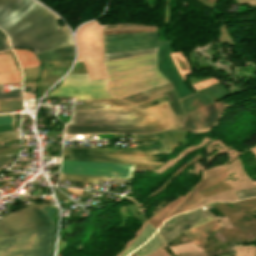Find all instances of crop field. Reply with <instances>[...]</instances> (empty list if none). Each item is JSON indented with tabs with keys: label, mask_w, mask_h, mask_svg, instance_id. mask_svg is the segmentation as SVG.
<instances>
[{
	"label": "crop field",
	"mask_w": 256,
	"mask_h": 256,
	"mask_svg": "<svg viewBox=\"0 0 256 256\" xmlns=\"http://www.w3.org/2000/svg\"><path fill=\"white\" fill-rule=\"evenodd\" d=\"M155 231L156 230L148 223L139 237L120 256H126L131 251L141 246L152 236Z\"/></svg>",
	"instance_id": "bc2a9ffb"
},
{
	"label": "crop field",
	"mask_w": 256,
	"mask_h": 256,
	"mask_svg": "<svg viewBox=\"0 0 256 256\" xmlns=\"http://www.w3.org/2000/svg\"><path fill=\"white\" fill-rule=\"evenodd\" d=\"M12 159H13V158H9V159H0V167L6 165V163H7L8 161L12 160Z\"/></svg>",
	"instance_id": "d3111659"
},
{
	"label": "crop field",
	"mask_w": 256,
	"mask_h": 256,
	"mask_svg": "<svg viewBox=\"0 0 256 256\" xmlns=\"http://www.w3.org/2000/svg\"><path fill=\"white\" fill-rule=\"evenodd\" d=\"M157 48L105 54V60H112L156 52Z\"/></svg>",
	"instance_id": "dafd665d"
},
{
	"label": "crop field",
	"mask_w": 256,
	"mask_h": 256,
	"mask_svg": "<svg viewBox=\"0 0 256 256\" xmlns=\"http://www.w3.org/2000/svg\"><path fill=\"white\" fill-rule=\"evenodd\" d=\"M3 115H10V114H0V116H3Z\"/></svg>",
	"instance_id": "1d83c4d3"
},
{
	"label": "crop field",
	"mask_w": 256,
	"mask_h": 256,
	"mask_svg": "<svg viewBox=\"0 0 256 256\" xmlns=\"http://www.w3.org/2000/svg\"><path fill=\"white\" fill-rule=\"evenodd\" d=\"M160 122L152 115L116 98L86 101L74 106L72 121L67 125Z\"/></svg>",
	"instance_id": "f4fd0767"
},
{
	"label": "crop field",
	"mask_w": 256,
	"mask_h": 256,
	"mask_svg": "<svg viewBox=\"0 0 256 256\" xmlns=\"http://www.w3.org/2000/svg\"><path fill=\"white\" fill-rule=\"evenodd\" d=\"M168 129L162 123L66 126L65 134L120 132L151 133Z\"/></svg>",
	"instance_id": "28ad6ade"
},
{
	"label": "crop field",
	"mask_w": 256,
	"mask_h": 256,
	"mask_svg": "<svg viewBox=\"0 0 256 256\" xmlns=\"http://www.w3.org/2000/svg\"><path fill=\"white\" fill-rule=\"evenodd\" d=\"M39 72V66L22 70L23 77L38 76Z\"/></svg>",
	"instance_id": "4177f3b9"
},
{
	"label": "crop field",
	"mask_w": 256,
	"mask_h": 256,
	"mask_svg": "<svg viewBox=\"0 0 256 256\" xmlns=\"http://www.w3.org/2000/svg\"><path fill=\"white\" fill-rule=\"evenodd\" d=\"M21 65V69L39 65V60L35 53L27 50L13 49Z\"/></svg>",
	"instance_id": "733c2abd"
},
{
	"label": "crop field",
	"mask_w": 256,
	"mask_h": 256,
	"mask_svg": "<svg viewBox=\"0 0 256 256\" xmlns=\"http://www.w3.org/2000/svg\"><path fill=\"white\" fill-rule=\"evenodd\" d=\"M220 226H222V225L219 224L214 219H212L200 226H197V227L185 232V234L188 237H190L195 244L198 245L199 242L206 240L205 238L207 235H209L211 232H213L215 229L219 228Z\"/></svg>",
	"instance_id": "5142ce71"
},
{
	"label": "crop field",
	"mask_w": 256,
	"mask_h": 256,
	"mask_svg": "<svg viewBox=\"0 0 256 256\" xmlns=\"http://www.w3.org/2000/svg\"><path fill=\"white\" fill-rule=\"evenodd\" d=\"M53 231L54 225L0 240V256H50Z\"/></svg>",
	"instance_id": "dd49c442"
},
{
	"label": "crop field",
	"mask_w": 256,
	"mask_h": 256,
	"mask_svg": "<svg viewBox=\"0 0 256 256\" xmlns=\"http://www.w3.org/2000/svg\"><path fill=\"white\" fill-rule=\"evenodd\" d=\"M106 80L90 81L87 73L68 74L62 84L47 96H76V100L113 97L106 90Z\"/></svg>",
	"instance_id": "d8731c3e"
},
{
	"label": "crop field",
	"mask_w": 256,
	"mask_h": 256,
	"mask_svg": "<svg viewBox=\"0 0 256 256\" xmlns=\"http://www.w3.org/2000/svg\"><path fill=\"white\" fill-rule=\"evenodd\" d=\"M17 138H19V137H18L16 130L0 133V142L6 141V140H11V139H17Z\"/></svg>",
	"instance_id": "00972430"
},
{
	"label": "crop field",
	"mask_w": 256,
	"mask_h": 256,
	"mask_svg": "<svg viewBox=\"0 0 256 256\" xmlns=\"http://www.w3.org/2000/svg\"><path fill=\"white\" fill-rule=\"evenodd\" d=\"M229 175L223 168L216 171L215 173L207 176L204 178L202 181H200L187 195L186 199L180 203L169 215L168 218L174 216L175 214H179L181 212H184L187 210L189 207H191L193 204L196 202L200 201L201 199L205 198L198 190L209 186L213 183H216L222 179L228 178ZM167 218V219H168Z\"/></svg>",
	"instance_id": "22f410ed"
},
{
	"label": "crop field",
	"mask_w": 256,
	"mask_h": 256,
	"mask_svg": "<svg viewBox=\"0 0 256 256\" xmlns=\"http://www.w3.org/2000/svg\"><path fill=\"white\" fill-rule=\"evenodd\" d=\"M53 224L43 207L20 209L0 219V239Z\"/></svg>",
	"instance_id": "e52e79f7"
},
{
	"label": "crop field",
	"mask_w": 256,
	"mask_h": 256,
	"mask_svg": "<svg viewBox=\"0 0 256 256\" xmlns=\"http://www.w3.org/2000/svg\"><path fill=\"white\" fill-rule=\"evenodd\" d=\"M21 97L20 91L3 92L2 84H0V99Z\"/></svg>",
	"instance_id": "a9b5d70f"
},
{
	"label": "crop field",
	"mask_w": 256,
	"mask_h": 256,
	"mask_svg": "<svg viewBox=\"0 0 256 256\" xmlns=\"http://www.w3.org/2000/svg\"><path fill=\"white\" fill-rule=\"evenodd\" d=\"M3 169H0V171H2Z\"/></svg>",
	"instance_id": "120bbe31"
},
{
	"label": "crop field",
	"mask_w": 256,
	"mask_h": 256,
	"mask_svg": "<svg viewBox=\"0 0 256 256\" xmlns=\"http://www.w3.org/2000/svg\"><path fill=\"white\" fill-rule=\"evenodd\" d=\"M181 197H183V196H181ZM181 197H179L176 201L167 205L155 217L150 218L147 221L150 222L153 226H155L158 229V227L160 226V224L162 223L164 218L170 213V211L176 206V204L182 200Z\"/></svg>",
	"instance_id": "92a150f3"
},
{
	"label": "crop field",
	"mask_w": 256,
	"mask_h": 256,
	"mask_svg": "<svg viewBox=\"0 0 256 256\" xmlns=\"http://www.w3.org/2000/svg\"><path fill=\"white\" fill-rule=\"evenodd\" d=\"M10 123H11V116L0 117V125L10 124Z\"/></svg>",
	"instance_id": "eef30255"
},
{
	"label": "crop field",
	"mask_w": 256,
	"mask_h": 256,
	"mask_svg": "<svg viewBox=\"0 0 256 256\" xmlns=\"http://www.w3.org/2000/svg\"><path fill=\"white\" fill-rule=\"evenodd\" d=\"M133 166L62 160L61 172L128 178Z\"/></svg>",
	"instance_id": "5a996713"
},
{
	"label": "crop field",
	"mask_w": 256,
	"mask_h": 256,
	"mask_svg": "<svg viewBox=\"0 0 256 256\" xmlns=\"http://www.w3.org/2000/svg\"><path fill=\"white\" fill-rule=\"evenodd\" d=\"M20 81L19 71H15L8 55L0 56V83Z\"/></svg>",
	"instance_id": "d9b57169"
},
{
	"label": "crop field",
	"mask_w": 256,
	"mask_h": 256,
	"mask_svg": "<svg viewBox=\"0 0 256 256\" xmlns=\"http://www.w3.org/2000/svg\"><path fill=\"white\" fill-rule=\"evenodd\" d=\"M222 101L215 102L186 114L184 127L178 130L206 131L224 110Z\"/></svg>",
	"instance_id": "d1516ede"
},
{
	"label": "crop field",
	"mask_w": 256,
	"mask_h": 256,
	"mask_svg": "<svg viewBox=\"0 0 256 256\" xmlns=\"http://www.w3.org/2000/svg\"><path fill=\"white\" fill-rule=\"evenodd\" d=\"M1 39H4V38H3V35H2V33H0V40H1Z\"/></svg>",
	"instance_id": "bd1437ed"
},
{
	"label": "crop field",
	"mask_w": 256,
	"mask_h": 256,
	"mask_svg": "<svg viewBox=\"0 0 256 256\" xmlns=\"http://www.w3.org/2000/svg\"><path fill=\"white\" fill-rule=\"evenodd\" d=\"M177 118L179 119V121H180V123H181V125H182V123H183V121H184V115L177 116Z\"/></svg>",
	"instance_id": "750c4746"
},
{
	"label": "crop field",
	"mask_w": 256,
	"mask_h": 256,
	"mask_svg": "<svg viewBox=\"0 0 256 256\" xmlns=\"http://www.w3.org/2000/svg\"><path fill=\"white\" fill-rule=\"evenodd\" d=\"M6 50H9V49L5 43V40L0 41V51H6Z\"/></svg>",
	"instance_id": "ae1a2a85"
},
{
	"label": "crop field",
	"mask_w": 256,
	"mask_h": 256,
	"mask_svg": "<svg viewBox=\"0 0 256 256\" xmlns=\"http://www.w3.org/2000/svg\"><path fill=\"white\" fill-rule=\"evenodd\" d=\"M163 244L165 243L157 231L150 241H148L146 244L141 246L139 249H137L133 253L135 256H146L148 253L154 251L155 249L162 246Z\"/></svg>",
	"instance_id": "4a817a6b"
},
{
	"label": "crop field",
	"mask_w": 256,
	"mask_h": 256,
	"mask_svg": "<svg viewBox=\"0 0 256 256\" xmlns=\"http://www.w3.org/2000/svg\"><path fill=\"white\" fill-rule=\"evenodd\" d=\"M132 137L134 142L158 140L161 146L139 149L63 148L62 159L159 166L162 163L153 161L159 160V157L146 154H169L172 147L178 145L171 130L156 134L132 135Z\"/></svg>",
	"instance_id": "34b2d1b8"
},
{
	"label": "crop field",
	"mask_w": 256,
	"mask_h": 256,
	"mask_svg": "<svg viewBox=\"0 0 256 256\" xmlns=\"http://www.w3.org/2000/svg\"><path fill=\"white\" fill-rule=\"evenodd\" d=\"M254 189H256V188H254ZM249 190H253V189H249ZM249 190L236 191L233 193L244 192V191H249ZM235 196L237 197V199H242L245 197H254V196H256V190L250 191V192H244V193H237V194H235Z\"/></svg>",
	"instance_id": "730fd06b"
},
{
	"label": "crop field",
	"mask_w": 256,
	"mask_h": 256,
	"mask_svg": "<svg viewBox=\"0 0 256 256\" xmlns=\"http://www.w3.org/2000/svg\"><path fill=\"white\" fill-rule=\"evenodd\" d=\"M153 47H158L157 68L171 83L177 99L192 94L169 54L168 42H158L157 32L104 35L105 53Z\"/></svg>",
	"instance_id": "412701ff"
},
{
	"label": "crop field",
	"mask_w": 256,
	"mask_h": 256,
	"mask_svg": "<svg viewBox=\"0 0 256 256\" xmlns=\"http://www.w3.org/2000/svg\"><path fill=\"white\" fill-rule=\"evenodd\" d=\"M60 19L31 0H0V28L8 35L12 47L29 48L37 53L72 43Z\"/></svg>",
	"instance_id": "8a807250"
},
{
	"label": "crop field",
	"mask_w": 256,
	"mask_h": 256,
	"mask_svg": "<svg viewBox=\"0 0 256 256\" xmlns=\"http://www.w3.org/2000/svg\"><path fill=\"white\" fill-rule=\"evenodd\" d=\"M104 63L107 90L119 99L168 83L156 68V53Z\"/></svg>",
	"instance_id": "ac0d7876"
},
{
	"label": "crop field",
	"mask_w": 256,
	"mask_h": 256,
	"mask_svg": "<svg viewBox=\"0 0 256 256\" xmlns=\"http://www.w3.org/2000/svg\"><path fill=\"white\" fill-rule=\"evenodd\" d=\"M60 180L88 182L96 184V180L106 181V177L61 173Z\"/></svg>",
	"instance_id": "214f88e0"
},
{
	"label": "crop field",
	"mask_w": 256,
	"mask_h": 256,
	"mask_svg": "<svg viewBox=\"0 0 256 256\" xmlns=\"http://www.w3.org/2000/svg\"><path fill=\"white\" fill-rule=\"evenodd\" d=\"M144 110L152 113L156 118L160 119L169 128L180 127L176 116L168 106L166 100L151 107H148Z\"/></svg>",
	"instance_id": "cbeb9de0"
},
{
	"label": "crop field",
	"mask_w": 256,
	"mask_h": 256,
	"mask_svg": "<svg viewBox=\"0 0 256 256\" xmlns=\"http://www.w3.org/2000/svg\"><path fill=\"white\" fill-rule=\"evenodd\" d=\"M210 219L212 217L208 216L203 209L199 208L192 212L174 216L164 222L158 231L166 243L184 231Z\"/></svg>",
	"instance_id": "3316defc"
}]
</instances>
